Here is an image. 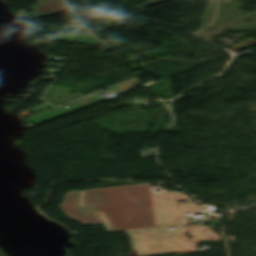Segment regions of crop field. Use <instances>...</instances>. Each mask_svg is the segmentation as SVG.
Here are the masks:
<instances>
[{
    "mask_svg": "<svg viewBox=\"0 0 256 256\" xmlns=\"http://www.w3.org/2000/svg\"><path fill=\"white\" fill-rule=\"evenodd\" d=\"M37 5L30 6V10L28 14L32 19L68 12V8L65 6L62 0H36Z\"/></svg>",
    "mask_w": 256,
    "mask_h": 256,
    "instance_id": "obj_3",
    "label": "crop field"
},
{
    "mask_svg": "<svg viewBox=\"0 0 256 256\" xmlns=\"http://www.w3.org/2000/svg\"><path fill=\"white\" fill-rule=\"evenodd\" d=\"M181 193L154 194L148 184L74 191L65 194L60 208L83 224L103 223L107 231L188 225L184 212L199 211L196 204H177Z\"/></svg>",
    "mask_w": 256,
    "mask_h": 256,
    "instance_id": "obj_1",
    "label": "crop field"
},
{
    "mask_svg": "<svg viewBox=\"0 0 256 256\" xmlns=\"http://www.w3.org/2000/svg\"><path fill=\"white\" fill-rule=\"evenodd\" d=\"M184 231L191 234L187 240ZM133 237L137 256H154L196 251V244L205 239L219 241L217 233L209 226H183L178 231L150 229L137 232H127Z\"/></svg>",
    "mask_w": 256,
    "mask_h": 256,
    "instance_id": "obj_2",
    "label": "crop field"
},
{
    "mask_svg": "<svg viewBox=\"0 0 256 256\" xmlns=\"http://www.w3.org/2000/svg\"><path fill=\"white\" fill-rule=\"evenodd\" d=\"M49 39H53V41H65V42L101 43L99 40H97L95 37H93L89 33L68 35V36H59V37H51Z\"/></svg>",
    "mask_w": 256,
    "mask_h": 256,
    "instance_id": "obj_4",
    "label": "crop field"
}]
</instances>
